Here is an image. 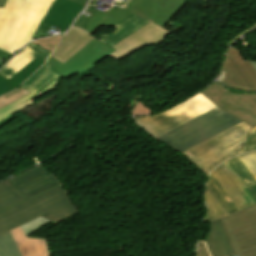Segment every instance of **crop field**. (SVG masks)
<instances>
[{
  "label": "crop field",
  "instance_id": "crop-field-1",
  "mask_svg": "<svg viewBox=\"0 0 256 256\" xmlns=\"http://www.w3.org/2000/svg\"><path fill=\"white\" fill-rule=\"evenodd\" d=\"M114 51L89 34L71 27L49 62L53 70L68 79L97 65Z\"/></svg>",
  "mask_w": 256,
  "mask_h": 256
},
{
  "label": "crop field",
  "instance_id": "crop-field-2",
  "mask_svg": "<svg viewBox=\"0 0 256 256\" xmlns=\"http://www.w3.org/2000/svg\"><path fill=\"white\" fill-rule=\"evenodd\" d=\"M55 0H7L0 8V49L14 52L31 40Z\"/></svg>",
  "mask_w": 256,
  "mask_h": 256
},
{
  "label": "crop field",
  "instance_id": "crop-field-3",
  "mask_svg": "<svg viewBox=\"0 0 256 256\" xmlns=\"http://www.w3.org/2000/svg\"><path fill=\"white\" fill-rule=\"evenodd\" d=\"M79 213L61 186L0 213V235L41 215L55 225Z\"/></svg>",
  "mask_w": 256,
  "mask_h": 256
},
{
  "label": "crop field",
  "instance_id": "crop-field-4",
  "mask_svg": "<svg viewBox=\"0 0 256 256\" xmlns=\"http://www.w3.org/2000/svg\"><path fill=\"white\" fill-rule=\"evenodd\" d=\"M241 122L243 121L215 107L156 138L181 153Z\"/></svg>",
  "mask_w": 256,
  "mask_h": 256
},
{
  "label": "crop field",
  "instance_id": "crop-field-5",
  "mask_svg": "<svg viewBox=\"0 0 256 256\" xmlns=\"http://www.w3.org/2000/svg\"><path fill=\"white\" fill-rule=\"evenodd\" d=\"M251 128L243 122L181 154L208 175L211 170L232 156L244 145L246 132Z\"/></svg>",
  "mask_w": 256,
  "mask_h": 256
},
{
  "label": "crop field",
  "instance_id": "crop-field-6",
  "mask_svg": "<svg viewBox=\"0 0 256 256\" xmlns=\"http://www.w3.org/2000/svg\"><path fill=\"white\" fill-rule=\"evenodd\" d=\"M215 106L210 100L199 93L181 104L151 118L149 116H143L133 119L157 136Z\"/></svg>",
  "mask_w": 256,
  "mask_h": 256
},
{
  "label": "crop field",
  "instance_id": "crop-field-7",
  "mask_svg": "<svg viewBox=\"0 0 256 256\" xmlns=\"http://www.w3.org/2000/svg\"><path fill=\"white\" fill-rule=\"evenodd\" d=\"M221 218L237 256H256V206Z\"/></svg>",
  "mask_w": 256,
  "mask_h": 256
},
{
  "label": "crop field",
  "instance_id": "crop-field-8",
  "mask_svg": "<svg viewBox=\"0 0 256 256\" xmlns=\"http://www.w3.org/2000/svg\"><path fill=\"white\" fill-rule=\"evenodd\" d=\"M200 93L221 109L243 120L252 127L256 126V94H231L217 82L211 83Z\"/></svg>",
  "mask_w": 256,
  "mask_h": 256
},
{
  "label": "crop field",
  "instance_id": "crop-field-9",
  "mask_svg": "<svg viewBox=\"0 0 256 256\" xmlns=\"http://www.w3.org/2000/svg\"><path fill=\"white\" fill-rule=\"evenodd\" d=\"M162 28L163 27L153 22L148 23L122 42L120 41L121 43L112 47L117 51L108 57L116 60L117 62H121L131 54L159 42L161 39L170 34Z\"/></svg>",
  "mask_w": 256,
  "mask_h": 256
},
{
  "label": "crop field",
  "instance_id": "crop-field-10",
  "mask_svg": "<svg viewBox=\"0 0 256 256\" xmlns=\"http://www.w3.org/2000/svg\"><path fill=\"white\" fill-rule=\"evenodd\" d=\"M187 0H132L125 7L135 14L164 26Z\"/></svg>",
  "mask_w": 256,
  "mask_h": 256
},
{
  "label": "crop field",
  "instance_id": "crop-field-11",
  "mask_svg": "<svg viewBox=\"0 0 256 256\" xmlns=\"http://www.w3.org/2000/svg\"><path fill=\"white\" fill-rule=\"evenodd\" d=\"M8 180L27 199L59 185L56 178L40 165Z\"/></svg>",
  "mask_w": 256,
  "mask_h": 256
},
{
  "label": "crop field",
  "instance_id": "crop-field-12",
  "mask_svg": "<svg viewBox=\"0 0 256 256\" xmlns=\"http://www.w3.org/2000/svg\"><path fill=\"white\" fill-rule=\"evenodd\" d=\"M86 11L91 13L92 16L87 18L81 14L80 17L76 20L74 26L79 27L91 34H93V32L99 26L104 25L106 27H112L133 14L127 9H121L119 7H112L106 13L95 10V7H89Z\"/></svg>",
  "mask_w": 256,
  "mask_h": 256
},
{
  "label": "crop field",
  "instance_id": "crop-field-13",
  "mask_svg": "<svg viewBox=\"0 0 256 256\" xmlns=\"http://www.w3.org/2000/svg\"><path fill=\"white\" fill-rule=\"evenodd\" d=\"M211 173L226 190V192L231 196L240 210L256 204L246 189L243 187V185L232 174V172L226 167L224 163Z\"/></svg>",
  "mask_w": 256,
  "mask_h": 256
},
{
  "label": "crop field",
  "instance_id": "crop-field-14",
  "mask_svg": "<svg viewBox=\"0 0 256 256\" xmlns=\"http://www.w3.org/2000/svg\"><path fill=\"white\" fill-rule=\"evenodd\" d=\"M88 0H56L44 22L65 30L83 10ZM61 17V18H59Z\"/></svg>",
  "mask_w": 256,
  "mask_h": 256
},
{
  "label": "crop field",
  "instance_id": "crop-field-15",
  "mask_svg": "<svg viewBox=\"0 0 256 256\" xmlns=\"http://www.w3.org/2000/svg\"><path fill=\"white\" fill-rule=\"evenodd\" d=\"M209 236L204 240L211 256H234V251L219 219L209 222Z\"/></svg>",
  "mask_w": 256,
  "mask_h": 256
},
{
  "label": "crop field",
  "instance_id": "crop-field-16",
  "mask_svg": "<svg viewBox=\"0 0 256 256\" xmlns=\"http://www.w3.org/2000/svg\"><path fill=\"white\" fill-rule=\"evenodd\" d=\"M22 256L51 255L45 239L25 237L21 227L10 231Z\"/></svg>",
  "mask_w": 256,
  "mask_h": 256
},
{
  "label": "crop field",
  "instance_id": "crop-field-17",
  "mask_svg": "<svg viewBox=\"0 0 256 256\" xmlns=\"http://www.w3.org/2000/svg\"><path fill=\"white\" fill-rule=\"evenodd\" d=\"M148 22L149 21L141 19L133 14L119 24L115 25L114 30L99 39L113 46Z\"/></svg>",
  "mask_w": 256,
  "mask_h": 256
},
{
  "label": "crop field",
  "instance_id": "crop-field-18",
  "mask_svg": "<svg viewBox=\"0 0 256 256\" xmlns=\"http://www.w3.org/2000/svg\"><path fill=\"white\" fill-rule=\"evenodd\" d=\"M220 74L221 75H219L218 80L225 85L235 88L237 90L252 91V89L247 84L243 76L240 74L227 53L225 55Z\"/></svg>",
  "mask_w": 256,
  "mask_h": 256
},
{
  "label": "crop field",
  "instance_id": "crop-field-19",
  "mask_svg": "<svg viewBox=\"0 0 256 256\" xmlns=\"http://www.w3.org/2000/svg\"><path fill=\"white\" fill-rule=\"evenodd\" d=\"M56 77H58V75L51 70L48 62H46L36 73L22 84V87L28 89L35 95Z\"/></svg>",
  "mask_w": 256,
  "mask_h": 256
},
{
  "label": "crop field",
  "instance_id": "crop-field-20",
  "mask_svg": "<svg viewBox=\"0 0 256 256\" xmlns=\"http://www.w3.org/2000/svg\"><path fill=\"white\" fill-rule=\"evenodd\" d=\"M44 61L36 58L18 73H16L9 80L0 76V95L6 94L14 90L22 81H24L30 74H32ZM23 83V82H22Z\"/></svg>",
  "mask_w": 256,
  "mask_h": 256
},
{
  "label": "crop field",
  "instance_id": "crop-field-21",
  "mask_svg": "<svg viewBox=\"0 0 256 256\" xmlns=\"http://www.w3.org/2000/svg\"><path fill=\"white\" fill-rule=\"evenodd\" d=\"M59 77L55 79L51 84L45 87L42 91H40L35 96L30 93L25 97L13 102L12 104L8 105L7 107L0 110V122L5 119L6 117L12 115L13 113L22 110L29 105L33 104V101L47 93H49L52 89H54L59 81Z\"/></svg>",
  "mask_w": 256,
  "mask_h": 256
},
{
  "label": "crop field",
  "instance_id": "crop-field-22",
  "mask_svg": "<svg viewBox=\"0 0 256 256\" xmlns=\"http://www.w3.org/2000/svg\"><path fill=\"white\" fill-rule=\"evenodd\" d=\"M207 187L227 215L239 210L230 196L225 192L211 173L209 175ZM222 204H224V206H222Z\"/></svg>",
  "mask_w": 256,
  "mask_h": 256
},
{
  "label": "crop field",
  "instance_id": "crop-field-23",
  "mask_svg": "<svg viewBox=\"0 0 256 256\" xmlns=\"http://www.w3.org/2000/svg\"><path fill=\"white\" fill-rule=\"evenodd\" d=\"M241 74L244 76L253 91H256V71L249 60L244 61L237 50L232 46L227 52Z\"/></svg>",
  "mask_w": 256,
  "mask_h": 256
},
{
  "label": "crop field",
  "instance_id": "crop-field-24",
  "mask_svg": "<svg viewBox=\"0 0 256 256\" xmlns=\"http://www.w3.org/2000/svg\"><path fill=\"white\" fill-rule=\"evenodd\" d=\"M227 167L234 173V175L240 180L245 188L255 185L256 179L239 159L238 156L224 162Z\"/></svg>",
  "mask_w": 256,
  "mask_h": 256
},
{
  "label": "crop field",
  "instance_id": "crop-field-25",
  "mask_svg": "<svg viewBox=\"0 0 256 256\" xmlns=\"http://www.w3.org/2000/svg\"><path fill=\"white\" fill-rule=\"evenodd\" d=\"M26 200L7 180L0 182V211Z\"/></svg>",
  "mask_w": 256,
  "mask_h": 256
},
{
  "label": "crop field",
  "instance_id": "crop-field-26",
  "mask_svg": "<svg viewBox=\"0 0 256 256\" xmlns=\"http://www.w3.org/2000/svg\"><path fill=\"white\" fill-rule=\"evenodd\" d=\"M34 56L24 52L20 51L1 71L0 75L10 78L13 76L16 72H18L21 68H23L26 64H28L30 61H32Z\"/></svg>",
  "mask_w": 256,
  "mask_h": 256
},
{
  "label": "crop field",
  "instance_id": "crop-field-27",
  "mask_svg": "<svg viewBox=\"0 0 256 256\" xmlns=\"http://www.w3.org/2000/svg\"><path fill=\"white\" fill-rule=\"evenodd\" d=\"M0 256H21L9 232L0 236Z\"/></svg>",
  "mask_w": 256,
  "mask_h": 256
},
{
  "label": "crop field",
  "instance_id": "crop-field-28",
  "mask_svg": "<svg viewBox=\"0 0 256 256\" xmlns=\"http://www.w3.org/2000/svg\"><path fill=\"white\" fill-rule=\"evenodd\" d=\"M205 200L209 209V214L205 221L226 216L225 212L222 210V208L219 206V204L216 202V200L213 198L207 188L205 192Z\"/></svg>",
  "mask_w": 256,
  "mask_h": 256
},
{
  "label": "crop field",
  "instance_id": "crop-field-29",
  "mask_svg": "<svg viewBox=\"0 0 256 256\" xmlns=\"http://www.w3.org/2000/svg\"><path fill=\"white\" fill-rule=\"evenodd\" d=\"M28 93L30 92L20 87L19 89L0 97V109ZM5 97L7 99H4Z\"/></svg>",
  "mask_w": 256,
  "mask_h": 256
},
{
  "label": "crop field",
  "instance_id": "crop-field-30",
  "mask_svg": "<svg viewBox=\"0 0 256 256\" xmlns=\"http://www.w3.org/2000/svg\"><path fill=\"white\" fill-rule=\"evenodd\" d=\"M22 50L46 61V59L48 58V56L50 55L51 52L33 44V43H30L28 44L27 46H25Z\"/></svg>",
  "mask_w": 256,
  "mask_h": 256
},
{
  "label": "crop field",
  "instance_id": "crop-field-31",
  "mask_svg": "<svg viewBox=\"0 0 256 256\" xmlns=\"http://www.w3.org/2000/svg\"><path fill=\"white\" fill-rule=\"evenodd\" d=\"M252 174L256 177V151L239 156Z\"/></svg>",
  "mask_w": 256,
  "mask_h": 256
},
{
  "label": "crop field",
  "instance_id": "crop-field-32",
  "mask_svg": "<svg viewBox=\"0 0 256 256\" xmlns=\"http://www.w3.org/2000/svg\"><path fill=\"white\" fill-rule=\"evenodd\" d=\"M252 150H256V127L249 131L247 135V144L236 155H239L248 151H252Z\"/></svg>",
  "mask_w": 256,
  "mask_h": 256
},
{
  "label": "crop field",
  "instance_id": "crop-field-33",
  "mask_svg": "<svg viewBox=\"0 0 256 256\" xmlns=\"http://www.w3.org/2000/svg\"><path fill=\"white\" fill-rule=\"evenodd\" d=\"M48 222L49 221H47L46 219H44L43 217L40 216V217H38V218H36V219H34V220H32V221L22 225L21 227H22V229H23V231H24V233L26 235V234L32 232L33 230L41 227L42 225H44V224H46Z\"/></svg>",
  "mask_w": 256,
  "mask_h": 256
},
{
  "label": "crop field",
  "instance_id": "crop-field-34",
  "mask_svg": "<svg viewBox=\"0 0 256 256\" xmlns=\"http://www.w3.org/2000/svg\"><path fill=\"white\" fill-rule=\"evenodd\" d=\"M60 39H61V36H57V37L46 38L39 41H34L33 43L37 45L40 44L41 47L52 52L53 49L58 45Z\"/></svg>",
  "mask_w": 256,
  "mask_h": 256
},
{
  "label": "crop field",
  "instance_id": "crop-field-35",
  "mask_svg": "<svg viewBox=\"0 0 256 256\" xmlns=\"http://www.w3.org/2000/svg\"><path fill=\"white\" fill-rule=\"evenodd\" d=\"M143 105L139 101H137L134 109L131 111L132 115L153 113Z\"/></svg>",
  "mask_w": 256,
  "mask_h": 256
},
{
  "label": "crop field",
  "instance_id": "crop-field-36",
  "mask_svg": "<svg viewBox=\"0 0 256 256\" xmlns=\"http://www.w3.org/2000/svg\"><path fill=\"white\" fill-rule=\"evenodd\" d=\"M196 256H210L203 242H198V253Z\"/></svg>",
  "mask_w": 256,
  "mask_h": 256
},
{
  "label": "crop field",
  "instance_id": "crop-field-37",
  "mask_svg": "<svg viewBox=\"0 0 256 256\" xmlns=\"http://www.w3.org/2000/svg\"><path fill=\"white\" fill-rule=\"evenodd\" d=\"M247 191L250 193V195L256 201V187L253 186V187L247 188Z\"/></svg>",
  "mask_w": 256,
  "mask_h": 256
},
{
  "label": "crop field",
  "instance_id": "crop-field-38",
  "mask_svg": "<svg viewBox=\"0 0 256 256\" xmlns=\"http://www.w3.org/2000/svg\"><path fill=\"white\" fill-rule=\"evenodd\" d=\"M0 56L6 59L10 55L0 51Z\"/></svg>",
  "mask_w": 256,
  "mask_h": 256
},
{
  "label": "crop field",
  "instance_id": "crop-field-39",
  "mask_svg": "<svg viewBox=\"0 0 256 256\" xmlns=\"http://www.w3.org/2000/svg\"><path fill=\"white\" fill-rule=\"evenodd\" d=\"M129 0H127V2H128ZM126 2V3H127ZM114 4H116V5H119V6H123L125 3H123V2H120V1H115V3Z\"/></svg>",
  "mask_w": 256,
  "mask_h": 256
},
{
  "label": "crop field",
  "instance_id": "crop-field-40",
  "mask_svg": "<svg viewBox=\"0 0 256 256\" xmlns=\"http://www.w3.org/2000/svg\"><path fill=\"white\" fill-rule=\"evenodd\" d=\"M5 1H6V0H0V7H3V6H4Z\"/></svg>",
  "mask_w": 256,
  "mask_h": 256
},
{
  "label": "crop field",
  "instance_id": "crop-field-41",
  "mask_svg": "<svg viewBox=\"0 0 256 256\" xmlns=\"http://www.w3.org/2000/svg\"><path fill=\"white\" fill-rule=\"evenodd\" d=\"M250 62L253 64V66H254V68L256 70V62H252V61H250Z\"/></svg>",
  "mask_w": 256,
  "mask_h": 256
},
{
  "label": "crop field",
  "instance_id": "crop-field-42",
  "mask_svg": "<svg viewBox=\"0 0 256 256\" xmlns=\"http://www.w3.org/2000/svg\"><path fill=\"white\" fill-rule=\"evenodd\" d=\"M1 60H4V59H2V58L0 57V61H1ZM1 63H2V62H0V64H1Z\"/></svg>",
  "mask_w": 256,
  "mask_h": 256
}]
</instances>
